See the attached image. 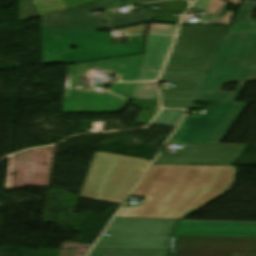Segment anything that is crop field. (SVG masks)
<instances>
[{
	"label": "crop field",
	"instance_id": "d8731c3e",
	"mask_svg": "<svg viewBox=\"0 0 256 256\" xmlns=\"http://www.w3.org/2000/svg\"><path fill=\"white\" fill-rule=\"evenodd\" d=\"M120 0H96V3L41 17L42 28L99 29L106 17L91 16L90 12L116 8Z\"/></svg>",
	"mask_w": 256,
	"mask_h": 256
},
{
	"label": "crop field",
	"instance_id": "3316defc",
	"mask_svg": "<svg viewBox=\"0 0 256 256\" xmlns=\"http://www.w3.org/2000/svg\"><path fill=\"white\" fill-rule=\"evenodd\" d=\"M173 235L256 237V222L182 220Z\"/></svg>",
	"mask_w": 256,
	"mask_h": 256
},
{
	"label": "crop field",
	"instance_id": "8a807250",
	"mask_svg": "<svg viewBox=\"0 0 256 256\" xmlns=\"http://www.w3.org/2000/svg\"><path fill=\"white\" fill-rule=\"evenodd\" d=\"M234 166L152 165L132 195L142 206L122 207L117 217L181 219L227 192Z\"/></svg>",
	"mask_w": 256,
	"mask_h": 256
},
{
	"label": "crop field",
	"instance_id": "ac0d7876",
	"mask_svg": "<svg viewBox=\"0 0 256 256\" xmlns=\"http://www.w3.org/2000/svg\"><path fill=\"white\" fill-rule=\"evenodd\" d=\"M174 37L146 35L145 53L96 64L68 66L63 108L73 113H113L121 111L126 100H158L154 82L113 83L112 92L72 89L73 76L91 68H106L119 73L122 81L154 80L163 65Z\"/></svg>",
	"mask_w": 256,
	"mask_h": 256
},
{
	"label": "crop field",
	"instance_id": "dd49c442",
	"mask_svg": "<svg viewBox=\"0 0 256 256\" xmlns=\"http://www.w3.org/2000/svg\"><path fill=\"white\" fill-rule=\"evenodd\" d=\"M142 47L143 42L110 47V33L97 30L42 29V51L54 50L64 64L138 54Z\"/></svg>",
	"mask_w": 256,
	"mask_h": 256
},
{
	"label": "crop field",
	"instance_id": "214f88e0",
	"mask_svg": "<svg viewBox=\"0 0 256 256\" xmlns=\"http://www.w3.org/2000/svg\"><path fill=\"white\" fill-rule=\"evenodd\" d=\"M176 25L150 23L147 33L174 34Z\"/></svg>",
	"mask_w": 256,
	"mask_h": 256
},
{
	"label": "crop field",
	"instance_id": "34b2d1b8",
	"mask_svg": "<svg viewBox=\"0 0 256 256\" xmlns=\"http://www.w3.org/2000/svg\"><path fill=\"white\" fill-rule=\"evenodd\" d=\"M227 30L218 26H180L159 80L179 87L160 90L162 107L191 109Z\"/></svg>",
	"mask_w": 256,
	"mask_h": 256
},
{
	"label": "crop field",
	"instance_id": "92a150f3",
	"mask_svg": "<svg viewBox=\"0 0 256 256\" xmlns=\"http://www.w3.org/2000/svg\"><path fill=\"white\" fill-rule=\"evenodd\" d=\"M43 65L58 63L53 51L42 52Z\"/></svg>",
	"mask_w": 256,
	"mask_h": 256
},
{
	"label": "crop field",
	"instance_id": "4177f3b9",
	"mask_svg": "<svg viewBox=\"0 0 256 256\" xmlns=\"http://www.w3.org/2000/svg\"><path fill=\"white\" fill-rule=\"evenodd\" d=\"M240 256H256V254H253V253H241Z\"/></svg>",
	"mask_w": 256,
	"mask_h": 256
},
{
	"label": "crop field",
	"instance_id": "d9b57169",
	"mask_svg": "<svg viewBox=\"0 0 256 256\" xmlns=\"http://www.w3.org/2000/svg\"><path fill=\"white\" fill-rule=\"evenodd\" d=\"M139 6L144 10L109 17L100 29H118L152 21V13Z\"/></svg>",
	"mask_w": 256,
	"mask_h": 256
},
{
	"label": "crop field",
	"instance_id": "a9b5d70f",
	"mask_svg": "<svg viewBox=\"0 0 256 256\" xmlns=\"http://www.w3.org/2000/svg\"><path fill=\"white\" fill-rule=\"evenodd\" d=\"M139 3H146V2H156V1H162V0H137Z\"/></svg>",
	"mask_w": 256,
	"mask_h": 256
},
{
	"label": "crop field",
	"instance_id": "5142ce71",
	"mask_svg": "<svg viewBox=\"0 0 256 256\" xmlns=\"http://www.w3.org/2000/svg\"><path fill=\"white\" fill-rule=\"evenodd\" d=\"M226 3L220 0H197L192 9L206 11L209 15V24L228 25L233 12L226 11L224 17H221Z\"/></svg>",
	"mask_w": 256,
	"mask_h": 256
},
{
	"label": "crop field",
	"instance_id": "28ad6ade",
	"mask_svg": "<svg viewBox=\"0 0 256 256\" xmlns=\"http://www.w3.org/2000/svg\"><path fill=\"white\" fill-rule=\"evenodd\" d=\"M247 145L199 144L194 157H158L155 163L231 165Z\"/></svg>",
	"mask_w": 256,
	"mask_h": 256
},
{
	"label": "crop field",
	"instance_id": "bc2a9ffb",
	"mask_svg": "<svg viewBox=\"0 0 256 256\" xmlns=\"http://www.w3.org/2000/svg\"><path fill=\"white\" fill-rule=\"evenodd\" d=\"M185 111L180 110H163L161 111L152 124L176 126Z\"/></svg>",
	"mask_w": 256,
	"mask_h": 256
},
{
	"label": "crop field",
	"instance_id": "e52e79f7",
	"mask_svg": "<svg viewBox=\"0 0 256 256\" xmlns=\"http://www.w3.org/2000/svg\"><path fill=\"white\" fill-rule=\"evenodd\" d=\"M173 256H239L256 253V238L173 236Z\"/></svg>",
	"mask_w": 256,
	"mask_h": 256
},
{
	"label": "crop field",
	"instance_id": "cbeb9de0",
	"mask_svg": "<svg viewBox=\"0 0 256 256\" xmlns=\"http://www.w3.org/2000/svg\"><path fill=\"white\" fill-rule=\"evenodd\" d=\"M143 6L153 13V22L178 23L189 4L186 0H174Z\"/></svg>",
	"mask_w": 256,
	"mask_h": 256
},
{
	"label": "crop field",
	"instance_id": "4a817a6b",
	"mask_svg": "<svg viewBox=\"0 0 256 256\" xmlns=\"http://www.w3.org/2000/svg\"><path fill=\"white\" fill-rule=\"evenodd\" d=\"M170 251L93 249L89 256H168Z\"/></svg>",
	"mask_w": 256,
	"mask_h": 256
},
{
	"label": "crop field",
	"instance_id": "22f410ed",
	"mask_svg": "<svg viewBox=\"0 0 256 256\" xmlns=\"http://www.w3.org/2000/svg\"><path fill=\"white\" fill-rule=\"evenodd\" d=\"M175 221L176 220L115 218L106 233L170 235Z\"/></svg>",
	"mask_w": 256,
	"mask_h": 256
},
{
	"label": "crop field",
	"instance_id": "dafd665d",
	"mask_svg": "<svg viewBox=\"0 0 256 256\" xmlns=\"http://www.w3.org/2000/svg\"><path fill=\"white\" fill-rule=\"evenodd\" d=\"M198 144H189L185 151L182 153L181 156H193ZM160 156H176V155H166L160 154Z\"/></svg>",
	"mask_w": 256,
	"mask_h": 256
},
{
	"label": "crop field",
	"instance_id": "d1516ede",
	"mask_svg": "<svg viewBox=\"0 0 256 256\" xmlns=\"http://www.w3.org/2000/svg\"><path fill=\"white\" fill-rule=\"evenodd\" d=\"M170 236L111 234L102 236L95 248L169 250Z\"/></svg>",
	"mask_w": 256,
	"mask_h": 256
},
{
	"label": "crop field",
	"instance_id": "412701ff",
	"mask_svg": "<svg viewBox=\"0 0 256 256\" xmlns=\"http://www.w3.org/2000/svg\"><path fill=\"white\" fill-rule=\"evenodd\" d=\"M256 2L244 0L208 71L195 101L235 102L246 82L256 81ZM239 82L234 92L223 84Z\"/></svg>",
	"mask_w": 256,
	"mask_h": 256
},
{
	"label": "crop field",
	"instance_id": "733c2abd",
	"mask_svg": "<svg viewBox=\"0 0 256 256\" xmlns=\"http://www.w3.org/2000/svg\"><path fill=\"white\" fill-rule=\"evenodd\" d=\"M249 103H234L206 143H221Z\"/></svg>",
	"mask_w": 256,
	"mask_h": 256
},
{
	"label": "crop field",
	"instance_id": "5a996713",
	"mask_svg": "<svg viewBox=\"0 0 256 256\" xmlns=\"http://www.w3.org/2000/svg\"><path fill=\"white\" fill-rule=\"evenodd\" d=\"M232 104L217 102L209 116H186L168 142L205 143Z\"/></svg>",
	"mask_w": 256,
	"mask_h": 256
},
{
	"label": "crop field",
	"instance_id": "730fd06b",
	"mask_svg": "<svg viewBox=\"0 0 256 256\" xmlns=\"http://www.w3.org/2000/svg\"><path fill=\"white\" fill-rule=\"evenodd\" d=\"M226 1H228V2H230L232 4H237V3L240 2V0H226Z\"/></svg>",
	"mask_w": 256,
	"mask_h": 256
},
{
	"label": "crop field",
	"instance_id": "f4fd0767",
	"mask_svg": "<svg viewBox=\"0 0 256 256\" xmlns=\"http://www.w3.org/2000/svg\"><path fill=\"white\" fill-rule=\"evenodd\" d=\"M150 163V160L97 151L79 196L122 204Z\"/></svg>",
	"mask_w": 256,
	"mask_h": 256
},
{
	"label": "crop field",
	"instance_id": "eef30255",
	"mask_svg": "<svg viewBox=\"0 0 256 256\" xmlns=\"http://www.w3.org/2000/svg\"><path fill=\"white\" fill-rule=\"evenodd\" d=\"M73 109H63V113H72Z\"/></svg>",
	"mask_w": 256,
	"mask_h": 256
},
{
	"label": "crop field",
	"instance_id": "00972430",
	"mask_svg": "<svg viewBox=\"0 0 256 256\" xmlns=\"http://www.w3.org/2000/svg\"><path fill=\"white\" fill-rule=\"evenodd\" d=\"M131 4H138V2L136 0H128L127 2H120V4L117 6L118 7H122V6H127V5H131Z\"/></svg>",
	"mask_w": 256,
	"mask_h": 256
}]
</instances>
